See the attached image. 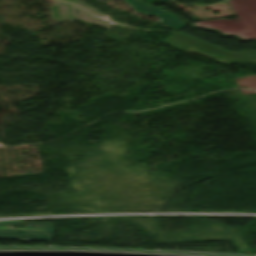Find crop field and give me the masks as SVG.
Listing matches in <instances>:
<instances>
[{
	"mask_svg": "<svg viewBox=\"0 0 256 256\" xmlns=\"http://www.w3.org/2000/svg\"><path fill=\"white\" fill-rule=\"evenodd\" d=\"M238 18L233 20L216 19L196 22L192 25L214 29L224 35H236L241 39H256V0L228 1ZM240 19L235 22L234 20Z\"/></svg>",
	"mask_w": 256,
	"mask_h": 256,
	"instance_id": "crop-field-1",
	"label": "crop field"
},
{
	"mask_svg": "<svg viewBox=\"0 0 256 256\" xmlns=\"http://www.w3.org/2000/svg\"><path fill=\"white\" fill-rule=\"evenodd\" d=\"M27 224L25 229H15L14 225ZM12 227L13 229H8ZM55 230L54 223H35V222H2L0 223V238L1 239H34V240H51L53 231ZM18 232H23L19 234ZM52 234V236H49ZM11 235V236H4ZM31 236V237H27Z\"/></svg>",
	"mask_w": 256,
	"mask_h": 256,
	"instance_id": "crop-field-2",
	"label": "crop field"
},
{
	"mask_svg": "<svg viewBox=\"0 0 256 256\" xmlns=\"http://www.w3.org/2000/svg\"><path fill=\"white\" fill-rule=\"evenodd\" d=\"M126 2L127 4L133 6L135 11L138 13L156 15L161 19L159 23L166 25L170 28L177 30L179 28L186 27V25L182 23L178 17L162 9L151 7L139 0H126Z\"/></svg>",
	"mask_w": 256,
	"mask_h": 256,
	"instance_id": "crop-field-3",
	"label": "crop field"
}]
</instances>
